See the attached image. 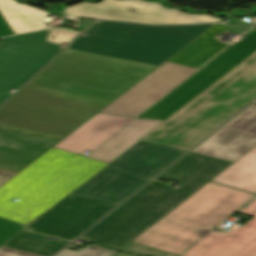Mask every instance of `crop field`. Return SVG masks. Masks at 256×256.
<instances>
[{"instance_id":"crop-field-26","label":"crop field","mask_w":256,"mask_h":256,"mask_svg":"<svg viewBox=\"0 0 256 256\" xmlns=\"http://www.w3.org/2000/svg\"><path fill=\"white\" fill-rule=\"evenodd\" d=\"M0 256H37V255L0 247Z\"/></svg>"},{"instance_id":"crop-field-8","label":"crop field","mask_w":256,"mask_h":256,"mask_svg":"<svg viewBox=\"0 0 256 256\" xmlns=\"http://www.w3.org/2000/svg\"><path fill=\"white\" fill-rule=\"evenodd\" d=\"M65 19L100 18L149 24L218 22L208 14L190 15L177 9H166L157 2L144 0H102L91 4L83 2L66 8Z\"/></svg>"},{"instance_id":"crop-field-20","label":"crop field","mask_w":256,"mask_h":256,"mask_svg":"<svg viewBox=\"0 0 256 256\" xmlns=\"http://www.w3.org/2000/svg\"><path fill=\"white\" fill-rule=\"evenodd\" d=\"M0 12L15 34L48 28L42 22L47 12L14 0H0Z\"/></svg>"},{"instance_id":"crop-field-16","label":"crop field","mask_w":256,"mask_h":256,"mask_svg":"<svg viewBox=\"0 0 256 256\" xmlns=\"http://www.w3.org/2000/svg\"><path fill=\"white\" fill-rule=\"evenodd\" d=\"M230 164L231 162L189 153L155 180L174 179L180 185L178 189L194 193Z\"/></svg>"},{"instance_id":"crop-field-23","label":"crop field","mask_w":256,"mask_h":256,"mask_svg":"<svg viewBox=\"0 0 256 256\" xmlns=\"http://www.w3.org/2000/svg\"><path fill=\"white\" fill-rule=\"evenodd\" d=\"M114 253L115 252L87 246L78 252H74L65 248L57 256H111Z\"/></svg>"},{"instance_id":"crop-field-3","label":"crop field","mask_w":256,"mask_h":256,"mask_svg":"<svg viewBox=\"0 0 256 256\" xmlns=\"http://www.w3.org/2000/svg\"><path fill=\"white\" fill-rule=\"evenodd\" d=\"M256 98V52L141 141L187 151Z\"/></svg>"},{"instance_id":"crop-field-13","label":"crop field","mask_w":256,"mask_h":256,"mask_svg":"<svg viewBox=\"0 0 256 256\" xmlns=\"http://www.w3.org/2000/svg\"><path fill=\"white\" fill-rule=\"evenodd\" d=\"M183 153L139 141L108 166L151 179Z\"/></svg>"},{"instance_id":"crop-field-14","label":"crop field","mask_w":256,"mask_h":256,"mask_svg":"<svg viewBox=\"0 0 256 256\" xmlns=\"http://www.w3.org/2000/svg\"><path fill=\"white\" fill-rule=\"evenodd\" d=\"M148 181L106 166L72 193L118 204Z\"/></svg>"},{"instance_id":"crop-field-19","label":"crop field","mask_w":256,"mask_h":256,"mask_svg":"<svg viewBox=\"0 0 256 256\" xmlns=\"http://www.w3.org/2000/svg\"><path fill=\"white\" fill-rule=\"evenodd\" d=\"M211 181L256 194V146Z\"/></svg>"},{"instance_id":"crop-field-9","label":"crop field","mask_w":256,"mask_h":256,"mask_svg":"<svg viewBox=\"0 0 256 256\" xmlns=\"http://www.w3.org/2000/svg\"><path fill=\"white\" fill-rule=\"evenodd\" d=\"M114 206L116 205L70 194L27 228L73 240Z\"/></svg>"},{"instance_id":"crop-field-11","label":"crop field","mask_w":256,"mask_h":256,"mask_svg":"<svg viewBox=\"0 0 256 256\" xmlns=\"http://www.w3.org/2000/svg\"><path fill=\"white\" fill-rule=\"evenodd\" d=\"M256 145V102L208 137L192 153L234 162Z\"/></svg>"},{"instance_id":"crop-field-12","label":"crop field","mask_w":256,"mask_h":256,"mask_svg":"<svg viewBox=\"0 0 256 256\" xmlns=\"http://www.w3.org/2000/svg\"><path fill=\"white\" fill-rule=\"evenodd\" d=\"M61 140L0 126V169L18 173Z\"/></svg>"},{"instance_id":"crop-field-15","label":"crop field","mask_w":256,"mask_h":256,"mask_svg":"<svg viewBox=\"0 0 256 256\" xmlns=\"http://www.w3.org/2000/svg\"><path fill=\"white\" fill-rule=\"evenodd\" d=\"M132 119L131 117L98 113L54 146V148L79 155L85 150L92 151Z\"/></svg>"},{"instance_id":"crop-field-2","label":"crop field","mask_w":256,"mask_h":256,"mask_svg":"<svg viewBox=\"0 0 256 256\" xmlns=\"http://www.w3.org/2000/svg\"><path fill=\"white\" fill-rule=\"evenodd\" d=\"M253 196L209 181L132 242L178 256H256V199L239 211L254 216L242 228L211 231Z\"/></svg>"},{"instance_id":"crop-field-18","label":"crop field","mask_w":256,"mask_h":256,"mask_svg":"<svg viewBox=\"0 0 256 256\" xmlns=\"http://www.w3.org/2000/svg\"><path fill=\"white\" fill-rule=\"evenodd\" d=\"M248 28L250 27L234 28L216 24L192 43L179 51L177 54H175L173 57H171L169 61L195 67L206 58L213 57L224 47H226V45L216 42L217 38L213 36L214 33H221L227 29L231 31H239L238 34H241Z\"/></svg>"},{"instance_id":"crop-field-5","label":"crop field","mask_w":256,"mask_h":256,"mask_svg":"<svg viewBox=\"0 0 256 256\" xmlns=\"http://www.w3.org/2000/svg\"><path fill=\"white\" fill-rule=\"evenodd\" d=\"M190 195L152 181L80 238L118 251Z\"/></svg>"},{"instance_id":"crop-field-4","label":"crop field","mask_w":256,"mask_h":256,"mask_svg":"<svg viewBox=\"0 0 256 256\" xmlns=\"http://www.w3.org/2000/svg\"><path fill=\"white\" fill-rule=\"evenodd\" d=\"M104 165L52 148L0 187V217L26 225Z\"/></svg>"},{"instance_id":"crop-field-7","label":"crop field","mask_w":256,"mask_h":256,"mask_svg":"<svg viewBox=\"0 0 256 256\" xmlns=\"http://www.w3.org/2000/svg\"><path fill=\"white\" fill-rule=\"evenodd\" d=\"M47 30L2 38L0 45V104L62 48L47 43Z\"/></svg>"},{"instance_id":"crop-field-24","label":"crop field","mask_w":256,"mask_h":256,"mask_svg":"<svg viewBox=\"0 0 256 256\" xmlns=\"http://www.w3.org/2000/svg\"><path fill=\"white\" fill-rule=\"evenodd\" d=\"M24 229L11 221L0 218V245Z\"/></svg>"},{"instance_id":"crop-field-29","label":"crop field","mask_w":256,"mask_h":256,"mask_svg":"<svg viewBox=\"0 0 256 256\" xmlns=\"http://www.w3.org/2000/svg\"><path fill=\"white\" fill-rule=\"evenodd\" d=\"M112 256H126V255H122V254L115 253V254L112 255Z\"/></svg>"},{"instance_id":"crop-field-10","label":"crop field","mask_w":256,"mask_h":256,"mask_svg":"<svg viewBox=\"0 0 256 256\" xmlns=\"http://www.w3.org/2000/svg\"><path fill=\"white\" fill-rule=\"evenodd\" d=\"M195 70L166 61L100 112L135 117Z\"/></svg>"},{"instance_id":"crop-field-27","label":"crop field","mask_w":256,"mask_h":256,"mask_svg":"<svg viewBox=\"0 0 256 256\" xmlns=\"http://www.w3.org/2000/svg\"><path fill=\"white\" fill-rule=\"evenodd\" d=\"M13 35L12 31L10 30L9 26L5 22L4 18L0 14V37Z\"/></svg>"},{"instance_id":"crop-field-21","label":"crop field","mask_w":256,"mask_h":256,"mask_svg":"<svg viewBox=\"0 0 256 256\" xmlns=\"http://www.w3.org/2000/svg\"><path fill=\"white\" fill-rule=\"evenodd\" d=\"M48 238L49 237L24 230L10 241H8L6 244H4L3 247L42 256H51L67 243H69L68 241L64 240L56 242Z\"/></svg>"},{"instance_id":"crop-field-6","label":"crop field","mask_w":256,"mask_h":256,"mask_svg":"<svg viewBox=\"0 0 256 256\" xmlns=\"http://www.w3.org/2000/svg\"><path fill=\"white\" fill-rule=\"evenodd\" d=\"M254 51H256V30L239 43H234L223 51L139 117L160 120L167 119Z\"/></svg>"},{"instance_id":"crop-field-28","label":"crop field","mask_w":256,"mask_h":256,"mask_svg":"<svg viewBox=\"0 0 256 256\" xmlns=\"http://www.w3.org/2000/svg\"><path fill=\"white\" fill-rule=\"evenodd\" d=\"M14 175L16 174L0 170V186L8 181L10 178H12Z\"/></svg>"},{"instance_id":"crop-field-1","label":"crop field","mask_w":256,"mask_h":256,"mask_svg":"<svg viewBox=\"0 0 256 256\" xmlns=\"http://www.w3.org/2000/svg\"><path fill=\"white\" fill-rule=\"evenodd\" d=\"M213 25L94 22L0 107V125L65 138Z\"/></svg>"},{"instance_id":"crop-field-17","label":"crop field","mask_w":256,"mask_h":256,"mask_svg":"<svg viewBox=\"0 0 256 256\" xmlns=\"http://www.w3.org/2000/svg\"><path fill=\"white\" fill-rule=\"evenodd\" d=\"M161 122L163 121L136 118L130 125L126 126L110 141L99 147L88 158L110 163Z\"/></svg>"},{"instance_id":"crop-field-25","label":"crop field","mask_w":256,"mask_h":256,"mask_svg":"<svg viewBox=\"0 0 256 256\" xmlns=\"http://www.w3.org/2000/svg\"><path fill=\"white\" fill-rule=\"evenodd\" d=\"M78 33L67 31V30H51L47 41H52L61 44L62 42L68 43Z\"/></svg>"},{"instance_id":"crop-field-22","label":"crop field","mask_w":256,"mask_h":256,"mask_svg":"<svg viewBox=\"0 0 256 256\" xmlns=\"http://www.w3.org/2000/svg\"><path fill=\"white\" fill-rule=\"evenodd\" d=\"M120 252H124V253H129V254H134V255H138V256H174V255H170L158 250H154L142 245H138L135 243L130 242L129 244H127L125 247H123L121 250H119Z\"/></svg>"}]
</instances>
